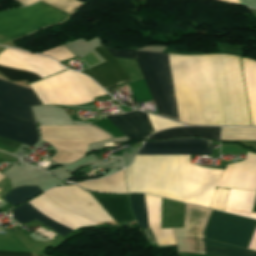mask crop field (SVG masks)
Wrapping results in <instances>:
<instances>
[{"label": "crop field", "instance_id": "crop-field-1", "mask_svg": "<svg viewBox=\"0 0 256 256\" xmlns=\"http://www.w3.org/2000/svg\"><path fill=\"white\" fill-rule=\"evenodd\" d=\"M137 59L162 117L188 125H251L238 57L175 55L106 48Z\"/></svg>", "mask_w": 256, "mask_h": 256}, {"label": "crop field", "instance_id": "crop-field-2", "mask_svg": "<svg viewBox=\"0 0 256 256\" xmlns=\"http://www.w3.org/2000/svg\"><path fill=\"white\" fill-rule=\"evenodd\" d=\"M137 154L211 155V141L180 139L145 142ZM186 202L210 207L223 170L190 165L181 156ZM180 156L135 155L125 168L128 192H144L185 202Z\"/></svg>", "mask_w": 256, "mask_h": 256}, {"label": "crop field", "instance_id": "crop-field-3", "mask_svg": "<svg viewBox=\"0 0 256 256\" xmlns=\"http://www.w3.org/2000/svg\"><path fill=\"white\" fill-rule=\"evenodd\" d=\"M211 210L186 204L184 228L172 229L178 252L215 256H256V252L204 240ZM256 221L212 210L204 238L249 247Z\"/></svg>", "mask_w": 256, "mask_h": 256}, {"label": "crop field", "instance_id": "crop-field-4", "mask_svg": "<svg viewBox=\"0 0 256 256\" xmlns=\"http://www.w3.org/2000/svg\"><path fill=\"white\" fill-rule=\"evenodd\" d=\"M82 75L67 70L33 83L31 87L43 105H79L106 94L91 79Z\"/></svg>", "mask_w": 256, "mask_h": 256}, {"label": "crop field", "instance_id": "crop-field-5", "mask_svg": "<svg viewBox=\"0 0 256 256\" xmlns=\"http://www.w3.org/2000/svg\"><path fill=\"white\" fill-rule=\"evenodd\" d=\"M40 130L42 140L57 150L51 158L57 163L73 162L87 151V144L110 138L90 125L40 127Z\"/></svg>", "mask_w": 256, "mask_h": 256}, {"label": "crop field", "instance_id": "crop-field-6", "mask_svg": "<svg viewBox=\"0 0 256 256\" xmlns=\"http://www.w3.org/2000/svg\"><path fill=\"white\" fill-rule=\"evenodd\" d=\"M68 15L41 2L30 7L0 12V35L11 40L22 38L43 27L61 23Z\"/></svg>", "mask_w": 256, "mask_h": 256}, {"label": "crop field", "instance_id": "crop-field-7", "mask_svg": "<svg viewBox=\"0 0 256 256\" xmlns=\"http://www.w3.org/2000/svg\"><path fill=\"white\" fill-rule=\"evenodd\" d=\"M45 194L56 204L93 223L112 220L88 193L76 185L57 187Z\"/></svg>", "mask_w": 256, "mask_h": 256}, {"label": "crop field", "instance_id": "crop-field-8", "mask_svg": "<svg viewBox=\"0 0 256 256\" xmlns=\"http://www.w3.org/2000/svg\"><path fill=\"white\" fill-rule=\"evenodd\" d=\"M41 105L32 90L0 80V112L35 123L30 106Z\"/></svg>", "mask_w": 256, "mask_h": 256}, {"label": "crop field", "instance_id": "crop-field-9", "mask_svg": "<svg viewBox=\"0 0 256 256\" xmlns=\"http://www.w3.org/2000/svg\"><path fill=\"white\" fill-rule=\"evenodd\" d=\"M105 62L82 71L92 77L104 89L131 82L124 69L116 58L109 53L103 45L93 49Z\"/></svg>", "mask_w": 256, "mask_h": 256}, {"label": "crop field", "instance_id": "crop-field-10", "mask_svg": "<svg viewBox=\"0 0 256 256\" xmlns=\"http://www.w3.org/2000/svg\"><path fill=\"white\" fill-rule=\"evenodd\" d=\"M217 186L256 192V155L248 152L246 160L227 165Z\"/></svg>", "mask_w": 256, "mask_h": 256}, {"label": "crop field", "instance_id": "crop-field-11", "mask_svg": "<svg viewBox=\"0 0 256 256\" xmlns=\"http://www.w3.org/2000/svg\"><path fill=\"white\" fill-rule=\"evenodd\" d=\"M105 117L128 139L147 137L154 133L147 115L137 110Z\"/></svg>", "mask_w": 256, "mask_h": 256}, {"label": "crop field", "instance_id": "crop-field-12", "mask_svg": "<svg viewBox=\"0 0 256 256\" xmlns=\"http://www.w3.org/2000/svg\"><path fill=\"white\" fill-rule=\"evenodd\" d=\"M0 137L30 146L38 141L35 125L3 114H0Z\"/></svg>", "mask_w": 256, "mask_h": 256}, {"label": "crop field", "instance_id": "crop-field-13", "mask_svg": "<svg viewBox=\"0 0 256 256\" xmlns=\"http://www.w3.org/2000/svg\"><path fill=\"white\" fill-rule=\"evenodd\" d=\"M89 193L101 204L117 224H125L135 221L130 211L127 194L100 195L93 192Z\"/></svg>", "mask_w": 256, "mask_h": 256}, {"label": "crop field", "instance_id": "crop-field-14", "mask_svg": "<svg viewBox=\"0 0 256 256\" xmlns=\"http://www.w3.org/2000/svg\"><path fill=\"white\" fill-rule=\"evenodd\" d=\"M144 197H145L148 225H149V228H151L158 244H163V243L175 244L172 230L160 229L161 199L147 196V195H144Z\"/></svg>", "mask_w": 256, "mask_h": 256}, {"label": "crop field", "instance_id": "crop-field-15", "mask_svg": "<svg viewBox=\"0 0 256 256\" xmlns=\"http://www.w3.org/2000/svg\"><path fill=\"white\" fill-rule=\"evenodd\" d=\"M10 211L15 216L13 218L21 224H24L26 222L37 219L61 236H64L73 230L71 228H68V227L48 218L47 216H45L44 214L39 212L37 209H35L28 202L10 210Z\"/></svg>", "mask_w": 256, "mask_h": 256}, {"label": "crop field", "instance_id": "crop-field-16", "mask_svg": "<svg viewBox=\"0 0 256 256\" xmlns=\"http://www.w3.org/2000/svg\"><path fill=\"white\" fill-rule=\"evenodd\" d=\"M256 193L231 189L226 203V212L256 218V213H251Z\"/></svg>", "mask_w": 256, "mask_h": 256}, {"label": "crop field", "instance_id": "crop-field-17", "mask_svg": "<svg viewBox=\"0 0 256 256\" xmlns=\"http://www.w3.org/2000/svg\"><path fill=\"white\" fill-rule=\"evenodd\" d=\"M219 132V127H182L167 129L160 133L153 134L148 139H169L184 136H196L218 141Z\"/></svg>", "mask_w": 256, "mask_h": 256}, {"label": "crop field", "instance_id": "crop-field-18", "mask_svg": "<svg viewBox=\"0 0 256 256\" xmlns=\"http://www.w3.org/2000/svg\"><path fill=\"white\" fill-rule=\"evenodd\" d=\"M79 186L98 192L127 193L123 170L109 177L77 183Z\"/></svg>", "mask_w": 256, "mask_h": 256}, {"label": "crop field", "instance_id": "crop-field-19", "mask_svg": "<svg viewBox=\"0 0 256 256\" xmlns=\"http://www.w3.org/2000/svg\"><path fill=\"white\" fill-rule=\"evenodd\" d=\"M252 125H256V62L241 58Z\"/></svg>", "mask_w": 256, "mask_h": 256}, {"label": "crop field", "instance_id": "crop-field-20", "mask_svg": "<svg viewBox=\"0 0 256 256\" xmlns=\"http://www.w3.org/2000/svg\"><path fill=\"white\" fill-rule=\"evenodd\" d=\"M40 193L41 191L37 186H21L13 189L3 199L15 207Z\"/></svg>", "mask_w": 256, "mask_h": 256}, {"label": "crop field", "instance_id": "crop-field-21", "mask_svg": "<svg viewBox=\"0 0 256 256\" xmlns=\"http://www.w3.org/2000/svg\"><path fill=\"white\" fill-rule=\"evenodd\" d=\"M221 140H256V128L222 127Z\"/></svg>", "mask_w": 256, "mask_h": 256}, {"label": "crop field", "instance_id": "crop-field-22", "mask_svg": "<svg viewBox=\"0 0 256 256\" xmlns=\"http://www.w3.org/2000/svg\"><path fill=\"white\" fill-rule=\"evenodd\" d=\"M129 198L139 228H148L143 194L129 195Z\"/></svg>", "mask_w": 256, "mask_h": 256}, {"label": "crop field", "instance_id": "crop-field-23", "mask_svg": "<svg viewBox=\"0 0 256 256\" xmlns=\"http://www.w3.org/2000/svg\"><path fill=\"white\" fill-rule=\"evenodd\" d=\"M0 73L6 76L11 81L27 80L29 84L41 79L40 77L36 76L31 72L10 68L6 66H1V65H0Z\"/></svg>", "mask_w": 256, "mask_h": 256}, {"label": "crop field", "instance_id": "crop-field-24", "mask_svg": "<svg viewBox=\"0 0 256 256\" xmlns=\"http://www.w3.org/2000/svg\"><path fill=\"white\" fill-rule=\"evenodd\" d=\"M60 11L71 15L82 3L76 0H40Z\"/></svg>", "mask_w": 256, "mask_h": 256}, {"label": "crop field", "instance_id": "crop-field-25", "mask_svg": "<svg viewBox=\"0 0 256 256\" xmlns=\"http://www.w3.org/2000/svg\"><path fill=\"white\" fill-rule=\"evenodd\" d=\"M229 190L227 188L216 187L210 208L223 211Z\"/></svg>", "mask_w": 256, "mask_h": 256}, {"label": "crop field", "instance_id": "crop-field-26", "mask_svg": "<svg viewBox=\"0 0 256 256\" xmlns=\"http://www.w3.org/2000/svg\"><path fill=\"white\" fill-rule=\"evenodd\" d=\"M40 54L52 57L58 62L75 58V56L71 52H69L63 45L44 51Z\"/></svg>", "mask_w": 256, "mask_h": 256}, {"label": "crop field", "instance_id": "crop-field-27", "mask_svg": "<svg viewBox=\"0 0 256 256\" xmlns=\"http://www.w3.org/2000/svg\"><path fill=\"white\" fill-rule=\"evenodd\" d=\"M148 117L150 119V122H151L152 127H153L155 132L159 131V130L166 129V128H170V127L183 126L181 124L174 123V122H171V121H168V120H164V119H161V118H158V117H155V116L148 115Z\"/></svg>", "mask_w": 256, "mask_h": 256}, {"label": "crop field", "instance_id": "crop-field-28", "mask_svg": "<svg viewBox=\"0 0 256 256\" xmlns=\"http://www.w3.org/2000/svg\"><path fill=\"white\" fill-rule=\"evenodd\" d=\"M20 146L21 144L0 138V150H4L13 154V152Z\"/></svg>", "mask_w": 256, "mask_h": 256}, {"label": "crop field", "instance_id": "crop-field-29", "mask_svg": "<svg viewBox=\"0 0 256 256\" xmlns=\"http://www.w3.org/2000/svg\"><path fill=\"white\" fill-rule=\"evenodd\" d=\"M0 256H39L32 253H22V252H3L0 251Z\"/></svg>", "mask_w": 256, "mask_h": 256}, {"label": "crop field", "instance_id": "crop-field-30", "mask_svg": "<svg viewBox=\"0 0 256 256\" xmlns=\"http://www.w3.org/2000/svg\"><path fill=\"white\" fill-rule=\"evenodd\" d=\"M18 2H20L21 4H23V5H30V4H32V3H34V2H36V1H38V0H17ZM16 1V2H17Z\"/></svg>", "mask_w": 256, "mask_h": 256}, {"label": "crop field", "instance_id": "crop-field-31", "mask_svg": "<svg viewBox=\"0 0 256 256\" xmlns=\"http://www.w3.org/2000/svg\"><path fill=\"white\" fill-rule=\"evenodd\" d=\"M145 231L148 236H150L154 241H156L150 229H146Z\"/></svg>", "mask_w": 256, "mask_h": 256}, {"label": "crop field", "instance_id": "crop-field-32", "mask_svg": "<svg viewBox=\"0 0 256 256\" xmlns=\"http://www.w3.org/2000/svg\"><path fill=\"white\" fill-rule=\"evenodd\" d=\"M252 212H256V201H255V204H254V207H253V211Z\"/></svg>", "mask_w": 256, "mask_h": 256}, {"label": "crop field", "instance_id": "crop-field-33", "mask_svg": "<svg viewBox=\"0 0 256 256\" xmlns=\"http://www.w3.org/2000/svg\"><path fill=\"white\" fill-rule=\"evenodd\" d=\"M78 1H80V2H82V3L84 2V0H78Z\"/></svg>", "mask_w": 256, "mask_h": 256}]
</instances>
